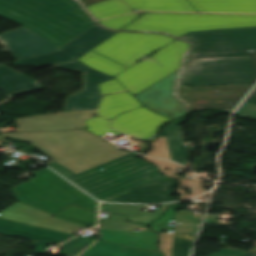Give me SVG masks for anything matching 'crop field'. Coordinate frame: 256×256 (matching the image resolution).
Instances as JSON below:
<instances>
[{
	"instance_id": "obj_1",
	"label": "crop field",
	"mask_w": 256,
	"mask_h": 256,
	"mask_svg": "<svg viewBox=\"0 0 256 256\" xmlns=\"http://www.w3.org/2000/svg\"><path fill=\"white\" fill-rule=\"evenodd\" d=\"M114 33L95 24L60 48L63 51L15 62L20 66H44L73 59L74 61L57 66L84 72V90L68 97L64 113L15 119L19 131L75 128H83V130L3 134V136L22 139L34 145L52 160L75 173L128 154L129 152L117 149L84 129L85 120L94 116L100 100L98 84L113 77L93 70L75 59Z\"/></svg>"
},
{
	"instance_id": "obj_2",
	"label": "crop field",
	"mask_w": 256,
	"mask_h": 256,
	"mask_svg": "<svg viewBox=\"0 0 256 256\" xmlns=\"http://www.w3.org/2000/svg\"><path fill=\"white\" fill-rule=\"evenodd\" d=\"M0 16L59 48L95 24L74 0H0Z\"/></svg>"
},
{
	"instance_id": "obj_3",
	"label": "crop field",
	"mask_w": 256,
	"mask_h": 256,
	"mask_svg": "<svg viewBox=\"0 0 256 256\" xmlns=\"http://www.w3.org/2000/svg\"><path fill=\"white\" fill-rule=\"evenodd\" d=\"M49 170L44 169L37 172L35 175L38 178L13 188L12 191L18 201L53 215L71 204L97 212L96 201ZM54 218L91 228L96 225L97 214L72 206Z\"/></svg>"
},
{
	"instance_id": "obj_4",
	"label": "crop field",
	"mask_w": 256,
	"mask_h": 256,
	"mask_svg": "<svg viewBox=\"0 0 256 256\" xmlns=\"http://www.w3.org/2000/svg\"><path fill=\"white\" fill-rule=\"evenodd\" d=\"M137 156L130 153L79 174L55 162L48 166L100 200L143 183L166 179L157 173L154 166L135 160ZM102 168L106 170L99 172Z\"/></svg>"
},
{
	"instance_id": "obj_5",
	"label": "crop field",
	"mask_w": 256,
	"mask_h": 256,
	"mask_svg": "<svg viewBox=\"0 0 256 256\" xmlns=\"http://www.w3.org/2000/svg\"><path fill=\"white\" fill-rule=\"evenodd\" d=\"M180 83L192 86L256 83V51L188 55Z\"/></svg>"
},
{
	"instance_id": "obj_6",
	"label": "crop field",
	"mask_w": 256,
	"mask_h": 256,
	"mask_svg": "<svg viewBox=\"0 0 256 256\" xmlns=\"http://www.w3.org/2000/svg\"><path fill=\"white\" fill-rule=\"evenodd\" d=\"M174 39L163 34L118 32L77 60L114 77Z\"/></svg>"
},
{
	"instance_id": "obj_7",
	"label": "crop field",
	"mask_w": 256,
	"mask_h": 256,
	"mask_svg": "<svg viewBox=\"0 0 256 256\" xmlns=\"http://www.w3.org/2000/svg\"><path fill=\"white\" fill-rule=\"evenodd\" d=\"M256 26V16L226 14L145 13L121 30L164 32L179 37L188 31Z\"/></svg>"
},
{
	"instance_id": "obj_8",
	"label": "crop field",
	"mask_w": 256,
	"mask_h": 256,
	"mask_svg": "<svg viewBox=\"0 0 256 256\" xmlns=\"http://www.w3.org/2000/svg\"><path fill=\"white\" fill-rule=\"evenodd\" d=\"M188 49L189 43L177 40L157 51L154 55V58L163 63L164 66L160 67L148 59H145L116 76L115 79L122 84L131 95H135L177 71L180 67L182 57Z\"/></svg>"
},
{
	"instance_id": "obj_9",
	"label": "crop field",
	"mask_w": 256,
	"mask_h": 256,
	"mask_svg": "<svg viewBox=\"0 0 256 256\" xmlns=\"http://www.w3.org/2000/svg\"><path fill=\"white\" fill-rule=\"evenodd\" d=\"M180 38L193 43L189 53L256 50V27L189 32Z\"/></svg>"
},
{
	"instance_id": "obj_10",
	"label": "crop field",
	"mask_w": 256,
	"mask_h": 256,
	"mask_svg": "<svg viewBox=\"0 0 256 256\" xmlns=\"http://www.w3.org/2000/svg\"><path fill=\"white\" fill-rule=\"evenodd\" d=\"M250 87V85L190 87L179 84L177 97L188 105V110L219 108L230 111Z\"/></svg>"
},
{
	"instance_id": "obj_11",
	"label": "crop field",
	"mask_w": 256,
	"mask_h": 256,
	"mask_svg": "<svg viewBox=\"0 0 256 256\" xmlns=\"http://www.w3.org/2000/svg\"><path fill=\"white\" fill-rule=\"evenodd\" d=\"M124 218V215L116 214H108V217L100 218L99 228L102 237L99 240L157 250L155 248L157 236L154 232L142 225L126 223ZM135 229L143 231L134 232Z\"/></svg>"
},
{
	"instance_id": "obj_12",
	"label": "crop field",
	"mask_w": 256,
	"mask_h": 256,
	"mask_svg": "<svg viewBox=\"0 0 256 256\" xmlns=\"http://www.w3.org/2000/svg\"><path fill=\"white\" fill-rule=\"evenodd\" d=\"M179 71L171 74L136 97L151 110L172 119L184 114L185 105L174 97L173 90Z\"/></svg>"
},
{
	"instance_id": "obj_13",
	"label": "crop field",
	"mask_w": 256,
	"mask_h": 256,
	"mask_svg": "<svg viewBox=\"0 0 256 256\" xmlns=\"http://www.w3.org/2000/svg\"><path fill=\"white\" fill-rule=\"evenodd\" d=\"M170 121L142 107L137 110L124 113L112 119L111 126L127 134L136 131L140 133L136 137L144 141H151L156 135L159 126Z\"/></svg>"
},
{
	"instance_id": "obj_14",
	"label": "crop field",
	"mask_w": 256,
	"mask_h": 256,
	"mask_svg": "<svg viewBox=\"0 0 256 256\" xmlns=\"http://www.w3.org/2000/svg\"><path fill=\"white\" fill-rule=\"evenodd\" d=\"M11 46V53L17 60L60 51L32 30L23 27L0 35Z\"/></svg>"
},
{
	"instance_id": "obj_15",
	"label": "crop field",
	"mask_w": 256,
	"mask_h": 256,
	"mask_svg": "<svg viewBox=\"0 0 256 256\" xmlns=\"http://www.w3.org/2000/svg\"><path fill=\"white\" fill-rule=\"evenodd\" d=\"M1 213L0 217L8 220L61 232L74 234L75 230L83 228V226L54 219L53 215L20 202Z\"/></svg>"
},
{
	"instance_id": "obj_16",
	"label": "crop field",
	"mask_w": 256,
	"mask_h": 256,
	"mask_svg": "<svg viewBox=\"0 0 256 256\" xmlns=\"http://www.w3.org/2000/svg\"><path fill=\"white\" fill-rule=\"evenodd\" d=\"M0 234L6 236L23 237L37 241L34 243V246L37 247L36 254H45L46 244L58 245L75 236L72 234L20 224L2 218H0Z\"/></svg>"
},
{
	"instance_id": "obj_17",
	"label": "crop field",
	"mask_w": 256,
	"mask_h": 256,
	"mask_svg": "<svg viewBox=\"0 0 256 256\" xmlns=\"http://www.w3.org/2000/svg\"><path fill=\"white\" fill-rule=\"evenodd\" d=\"M175 187V181H162L143 184L116 195L102 199L107 202L159 203L170 201V191Z\"/></svg>"
},
{
	"instance_id": "obj_18",
	"label": "crop field",
	"mask_w": 256,
	"mask_h": 256,
	"mask_svg": "<svg viewBox=\"0 0 256 256\" xmlns=\"http://www.w3.org/2000/svg\"><path fill=\"white\" fill-rule=\"evenodd\" d=\"M198 12L256 13V0H188Z\"/></svg>"
},
{
	"instance_id": "obj_19",
	"label": "crop field",
	"mask_w": 256,
	"mask_h": 256,
	"mask_svg": "<svg viewBox=\"0 0 256 256\" xmlns=\"http://www.w3.org/2000/svg\"><path fill=\"white\" fill-rule=\"evenodd\" d=\"M142 107L128 92L107 95L101 103L98 114L112 119L123 112Z\"/></svg>"
},
{
	"instance_id": "obj_20",
	"label": "crop field",
	"mask_w": 256,
	"mask_h": 256,
	"mask_svg": "<svg viewBox=\"0 0 256 256\" xmlns=\"http://www.w3.org/2000/svg\"><path fill=\"white\" fill-rule=\"evenodd\" d=\"M0 86L9 96L42 88L38 83L3 65H0Z\"/></svg>"
},
{
	"instance_id": "obj_21",
	"label": "crop field",
	"mask_w": 256,
	"mask_h": 256,
	"mask_svg": "<svg viewBox=\"0 0 256 256\" xmlns=\"http://www.w3.org/2000/svg\"><path fill=\"white\" fill-rule=\"evenodd\" d=\"M172 204L161 205L152 213L141 212L144 205L101 204L100 212L128 214L130 221L148 224Z\"/></svg>"
},
{
	"instance_id": "obj_22",
	"label": "crop field",
	"mask_w": 256,
	"mask_h": 256,
	"mask_svg": "<svg viewBox=\"0 0 256 256\" xmlns=\"http://www.w3.org/2000/svg\"><path fill=\"white\" fill-rule=\"evenodd\" d=\"M124 245L97 241L90 247L83 256H161L159 253L145 251L137 248L125 247L122 254L121 251Z\"/></svg>"
},
{
	"instance_id": "obj_23",
	"label": "crop field",
	"mask_w": 256,
	"mask_h": 256,
	"mask_svg": "<svg viewBox=\"0 0 256 256\" xmlns=\"http://www.w3.org/2000/svg\"><path fill=\"white\" fill-rule=\"evenodd\" d=\"M160 136H166L172 160L187 165L188 155L183 144L182 128L169 124L162 129Z\"/></svg>"
},
{
	"instance_id": "obj_24",
	"label": "crop field",
	"mask_w": 256,
	"mask_h": 256,
	"mask_svg": "<svg viewBox=\"0 0 256 256\" xmlns=\"http://www.w3.org/2000/svg\"><path fill=\"white\" fill-rule=\"evenodd\" d=\"M132 9L197 12L187 0H123Z\"/></svg>"
},
{
	"instance_id": "obj_25",
	"label": "crop field",
	"mask_w": 256,
	"mask_h": 256,
	"mask_svg": "<svg viewBox=\"0 0 256 256\" xmlns=\"http://www.w3.org/2000/svg\"><path fill=\"white\" fill-rule=\"evenodd\" d=\"M85 8L96 20L133 12L122 0H106Z\"/></svg>"
},
{
	"instance_id": "obj_26",
	"label": "crop field",
	"mask_w": 256,
	"mask_h": 256,
	"mask_svg": "<svg viewBox=\"0 0 256 256\" xmlns=\"http://www.w3.org/2000/svg\"><path fill=\"white\" fill-rule=\"evenodd\" d=\"M177 204H175L171 209H169L166 213H164L161 217L155 220L149 228L161 233L163 230H173V228L167 227V224L170 220H175V210ZM174 233H161V238L159 241V245L162 251L166 254V256H171L172 249V240Z\"/></svg>"
},
{
	"instance_id": "obj_27",
	"label": "crop field",
	"mask_w": 256,
	"mask_h": 256,
	"mask_svg": "<svg viewBox=\"0 0 256 256\" xmlns=\"http://www.w3.org/2000/svg\"><path fill=\"white\" fill-rule=\"evenodd\" d=\"M196 234H175L172 256H189Z\"/></svg>"
},
{
	"instance_id": "obj_28",
	"label": "crop field",
	"mask_w": 256,
	"mask_h": 256,
	"mask_svg": "<svg viewBox=\"0 0 256 256\" xmlns=\"http://www.w3.org/2000/svg\"><path fill=\"white\" fill-rule=\"evenodd\" d=\"M93 241L94 239H88V238L77 236L72 240L66 242L65 244L59 246L63 248L59 254L78 255L83 249H85Z\"/></svg>"
},
{
	"instance_id": "obj_29",
	"label": "crop field",
	"mask_w": 256,
	"mask_h": 256,
	"mask_svg": "<svg viewBox=\"0 0 256 256\" xmlns=\"http://www.w3.org/2000/svg\"><path fill=\"white\" fill-rule=\"evenodd\" d=\"M109 121L103 118L97 117L86 121V130L99 136L108 132L116 133L117 136L121 133L114 131L108 127Z\"/></svg>"
},
{
	"instance_id": "obj_30",
	"label": "crop field",
	"mask_w": 256,
	"mask_h": 256,
	"mask_svg": "<svg viewBox=\"0 0 256 256\" xmlns=\"http://www.w3.org/2000/svg\"><path fill=\"white\" fill-rule=\"evenodd\" d=\"M179 183H180V185L177 189V193L181 194V196L179 197L180 200L191 198V197H194V196H198V195L206 192L204 190V188L202 187V184L199 183V182L179 179ZM184 187H189L192 194L187 196V197H183V196H185V193L182 192V189Z\"/></svg>"
},
{
	"instance_id": "obj_31",
	"label": "crop field",
	"mask_w": 256,
	"mask_h": 256,
	"mask_svg": "<svg viewBox=\"0 0 256 256\" xmlns=\"http://www.w3.org/2000/svg\"><path fill=\"white\" fill-rule=\"evenodd\" d=\"M135 17H137V15L135 13H132V14L100 21L99 23L107 28L118 30L119 28H121L122 26L126 25L131 20H133Z\"/></svg>"
},
{
	"instance_id": "obj_32",
	"label": "crop field",
	"mask_w": 256,
	"mask_h": 256,
	"mask_svg": "<svg viewBox=\"0 0 256 256\" xmlns=\"http://www.w3.org/2000/svg\"><path fill=\"white\" fill-rule=\"evenodd\" d=\"M153 146L154 148L148 155L162 159H170L165 137L159 138L157 142L153 143Z\"/></svg>"
},
{
	"instance_id": "obj_33",
	"label": "crop field",
	"mask_w": 256,
	"mask_h": 256,
	"mask_svg": "<svg viewBox=\"0 0 256 256\" xmlns=\"http://www.w3.org/2000/svg\"><path fill=\"white\" fill-rule=\"evenodd\" d=\"M143 159H145L146 161L150 162V163H153V164H156L158 165L161 170L162 168H170L171 170L170 171H163L162 170V173L167 175V176H171V177H175V178H178L177 176H174L173 175V170L174 168H184L178 164H175V163H172V162H169V161H162V160H157V159H153V158H149V157H143Z\"/></svg>"
},
{
	"instance_id": "obj_34",
	"label": "crop field",
	"mask_w": 256,
	"mask_h": 256,
	"mask_svg": "<svg viewBox=\"0 0 256 256\" xmlns=\"http://www.w3.org/2000/svg\"><path fill=\"white\" fill-rule=\"evenodd\" d=\"M126 90L122 85H120L115 79H112L108 82L100 84V93L109 94Z\"/></svg>"
},
{
	"instance_id": "obj_35",
	"label": "crop field",
	"mask_w": 256,
	"mask_h": 256,
	"mask_svg": "<svg viewBox=\"0 0 256 256\" xmlns=\"http://www.w3.org/2000/svg\"><path fill=\"white\" fill-rule=\"evenodd\" d=\"M235 114L256 119V105L244 102Z\"/></svg>"
},
{
	"instance_id": "obj_36",
	"label": "crop field",
	"mask_w": 256,
	"mask_h": 256,
	"mask_svg": "<svg viewBox=\"0 0 256 256\" xmlns=\"http://www.w3.org/2000/svg\"><path fill=\"white\" fill-rule=\"evenodd\" d=\"M246 252L245 251H240L236 249H231V248H224L214 254H211L209 256H243Z\"/></svg>"
},
{
	"instance_id": "obj_37",
	"label": "crop field",
	"mask_w": 256,
	"mask_h": 256,
	"mask_svg": "<svg viewBox=\"0 0 256 256\" xmlns=\"http://www.w3.org/2000/svg\"><path fill=\"white\" fill-rule=\"evenodd\" d=\"M246 102H250V103L256 104V89H255L254 92L248 97V99L246 100Z\"/></svg>"
},
{
	"instance_id": "obj_38",
	"label": "crop field",
	"mask_w": 256,
	"mask_h": 256,
	"mask_svg": "<svg viewBox=\"0 0 256 256\" xmlns=\"http://www.w3.org/2000/svg\"><path fill=\"white\" fill-rule=\"evenodd\" d=\"M84 6L89 5V4H93L99 1H103V0H79Z\"/></svg>"
},
{
	"instance_id": "obj_39",
	"label": "crop field",
	"mask_w": 256,
	"mask_h": 256,
	"mask_svg": "<svg viewBox=\"0 0 256 256\" xmlns=\"http://www.w3.org/2000/svg\"><path fill=\"white\" fill-rule=\"evenodd\" d=\"M244 256H256V252L246 253Z\"/></svg>"
}]
</instances>
